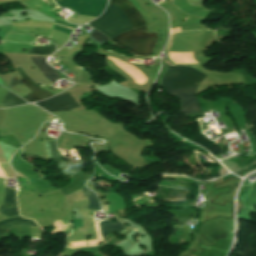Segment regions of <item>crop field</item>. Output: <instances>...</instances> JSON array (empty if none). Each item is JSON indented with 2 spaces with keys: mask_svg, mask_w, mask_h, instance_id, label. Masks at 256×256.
<instances>
[{
  "mask_svg": "<svg viewBox=\"0 0 256 256\" xmlns=\"http://www.w3.org/2000/svg\"><path fill=\"white\" fill-rule=\"evenodd\" d=\"M207 75L190 68L188 66H170L165 73L161 87H180L199 85ZM198 86L169 88L164 91L181 100L183 114H188L193 111H201L198 101L195 99V92Z\"/></svg>",
  "mask_w": 256,
  "mask_h": 256,
  "instance_id": "obj_1",
  "label": "crop field"
},
{
  "mask_svg": "<svg viewBox=\"0 0 256 256\" xmlns=\"http://www.w3.org/2000/svg\"><path fill=\"white\" fill-rule=\"evenodd\" d=\"M110 2L119 5L136 27L146 24L135 6L128 0H110ZM112 3H109L105 13L100 18L88 23L91 27L106 34L110 39L121 32L135 28L120 7Z\"/></svg>",
  "mask_w": 256,
  "mask_h": 256,
  "instance_id": "obj_2",
  "label": "crop field"
},
{
  "mask_svg": "<svg viewBox=\"0 0 256 256\" xmlns=\"http://www.w3.org/2000/svg\"><path fill=\"white\" fill-rule=\"evenodd\" d=\"M114 43L128 48L135 54L148 56L156 42V33H147L146 26L124 32L111 39Z\"/></svg>",
  "mask_w": 256,
  "mask_h": 256,
  "instance_id": "obj_3",
  "label": "crop field"
},
{
  "mask_svg": "<svg viewBox=\"0 0 256 256\" xmlns=\"http://www.w3.org/2000/svg\"><path fill=\"white\" fill-rule=\"evenodd\" d=\"M33 57V56H32ZM37 68L51 81H56V79L60 78V75L53 71V69L46 64L45 59L46 57H33ZM16 71L21 75L23 80L21 82L33 92L24 97V99L28 102H35L42 100L44 98L50 97L53 94L49 93L48 91L38 87L33 80L25 73V71L20 68L16 69Z\"/></svg>",
  "mask_w": 256,
  "mask_h": 256,
  "instance_id": "obj_4",
  "label": "crop field"
},
{
  "mask_svg": "<svg viewBox=\"0 0 256 256\" xmlns=\"http://www.w3.org/2000/svg\"><path fill=\"white\" fill-rule=\"evenodd\" d=\"M105 2L106 0H62L56 3L60 7L69 6L79 12L78 15L98 17L106 6Z\"/></svg>",
  "mask_w": 256,
  "mask_h": 256,
  "instance_id": "obj_5",
  "label": "crop field"
},
{
  "mask_svg": "<svg viewBox=\"0 0 256 256\" xmlns=\"http://www.w3.org/2000/svg\"><path fill=\"white\" fill-rule=\"evenodd\" d=\"M36 105L50 113L56 111H71L70 109L79 107L78 103L69 92L59 94L43 102L36 103Z\"/></svg>",
  "mask_w": 256,
  "mask_h": 256,
  "instance_id": "obj_6",
  "label": "crop field"
},
{
  "mask_svg": "<svg viewBox=\"0 0 256 256\" xmlns=\"http://www.w3.org/2000/svg\"><path fill=\"white\" fill-rule=\"evenodd\" d=\"M46 149L49 159L56 161L58 168L63 172L65 176L84 169L82 162L73 165L66 164L56 151L55 140L46 141Z\"/></svg>",
  "mask_w": 256,
  "mask_h": 256,
  "instance_id": "obj_7",
  "label": "crop field"
},
{
  "mask_svg": "<svg viewBox=\"0 0 256 256\" xmlns=\"http://www.w3.org/2000/svg\"><path fill=\"white\" fill-rule=\"evenodd\" d=\"M16 191L17 190L5 188L4 204L0 207V212L9 217L19 215L18 207H17ZM8 204H13V208L7 207Z\"/></svg>",
  "mask_w": 256,
  "mask_h": 256,
  "instance_id": "obj_8",
  "label": "crop field"
},
{
  "mask_svg": "<svg viewBox=\"0 0 256 256\" xmlns=\"http://www.w3.org/2000/svg\"><path fill=\"white\" fill-rule=\"evenodd\" d=\"M17 225H35V226H37V224L34 221L29 220V219H24L21 217L8 219V220L0 222V237L4 236V233L8 228L17 226Z\"/></svg>",
  "mask_w": 256,
  "mask_h": 256,
  "instance_id": "obj_9",
  "label": "crop field"
},
{
  "mask_svg": "<svg viewBox=\"0 0 256 256\" xmlns=\"http://www.w3.org/2000/svg\"><path fill=\"white\" fill-rule=\"evenodd\" d=\"M100 228H101V234L102 237L109 234L112 231H119L123 229L124 227L120 224L119 221L116 223H112L111 220L108 221H101L100 222Z\"/></svg>",
  "mask_w": 256,
  "mask_h": 256,
  "instance_id": "obj_10",
  "label": "crop field"
},
{
  "mask_svg": "<svg viewBox=\"0 0 256 256\" xmlns=\"http://www.w3.org/2000/svg\"><path fill=\"white\" fill-rule=\"evenodd\" d=\"M24 103H26V102L23 101L22 99H20L19 97L15 96L14 94H12L9 91L2 101V105H5L7 107L20 105V104H24Z\"/></svg>",
  "mask_w": 256,
  "mask_h": 256,
  "instance_id": "obj_11",
  "label": "crop field"
},
{
  "mask_svg": "<svg viewBox=\"0 0 256 256\" xmlns=\"http://www.w3.org/2000/svg\"><path fill=\"white\" fill-rule=\"evenodd\" d=\"M83 191L89 201L88 209L98 210L99 206L97 204L95 194L93 192L89 191L87 188H84Z\"/></svg>",
  "mask_w": 256,
  "mask_h": 256,
  "instance_id": "obj_12",
  "label": "crop field"
},
{
  "mask_svg": "<svg viewBox=\"0 0 256 256\" xmlns=\"http://www.w3.org/2000/svg\"><path fill=\"white\" fill-rule=\"evenodd\" d=\"M90 39H92L93 41H95L98 44L103 45L106 41H108L109 39L107 37H105L104 35H102L101 33L93 30L90 34Z\"/></svg>",
  "mask_w": 256,
  "mask_h": 256,
  "instance_id": "obj_13",
  "label": "crop field"
},
{
  "mask_svg": "<svg viewBox=\"0 0 256 256\" xmlns=\"http://www.w3.org/2000/svg\"><path fill=\"white\" fill-rule=\"evenodd\" d=\"M55 25H59V26H62V27H66V28H69V29H73V30H75V28H76V26H72V25H69V24H65V23H62V22H58V21H55V23H54ZM54 28H57V29H59V30H62V31H65V32H67V33H70V34H72V31H68V30H65V29H62V28H58V27H55L54 26Z\"/></svg>",
  "mask_w": 256,
  "mask_h": 256,
  "instance_id": "obj_14",
  "label": "crop field"
},
{
  "mask_svg": "<svg viewBox=\"0 0 256 256\" xmlns=\"http://www.w3.org/2000/svg\"><path fill=\"white\" fill-rule=\"evenodd\" d=\"M171 38H172V35H171V37H170V42H169V45H168V47L166 48V50H168V48H169V46H170V44H171Z\"/></svg>",
  "mask_w": 256,
  "mask_h": 256,
  "instance_id": "obj_15",
  "label": "crop field"
},
{
  "mask_svg": "<svg viewBox=\"0 0 256 256\" xmlns=\"http://www.w3.org/2000/svg\"><path fill=\"white\" fill-rule=\"evenodd\" d=\"M102 208H103V211H108L106 206H102Z\"/></svg>",
  "mask_w": 256,
  "mask_h": 256,
  "instance_id": "obj_16",
  "label": "crop field"
}]
</instances>
